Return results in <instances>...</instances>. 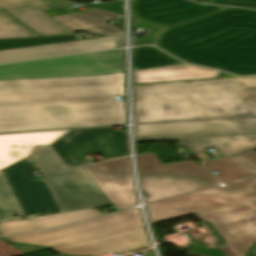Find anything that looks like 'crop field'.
I'll use <instances>...</instances> for the list:
<instances>
[{"instance_id":"obj_35","label":"crop field","mask_w":256,"mask_h":256,"mask_svg":"<svg viewBox=\"0 0 256 256\" xmlns=\"http://www.w3.org/2000/svg\"><path fill=\"white\" fill-rule=\"evenodd\" d=\"M1 11V10H0Z\"/></svg>"},{"instance_id":"obj_16","label":"crop field","mask_w":256,"mask_h":256,"mask_svg":"<svg viewBox=\"0 0 256 256\" xmlns=\"http://www.w3.org/2000/svg\"><path fill=\"white\" fill-rule=\"evenodd\" d=\"M148 246L150 245L144 228L141 227L49 251L67 255L100 256L108 251L120 253Z\"/></svg>"},{"instance_id":"obj_21","label":"crop field","mask_w":256,"mask_h":256,"mask_svg":"<svg viewBox=\"0 0 256 256\" xmlns=\"http://www.w3.org/2000/svg\"><path fill=\"white\" fill-rule=\"evenodd\" d=\"M210 171H217L218 178L227 182L256 174V153L251 152L231 158L210 161L204 164Z\"/></svg>"},{"instance_id":"obj_17","label":"crop field","mask_w":256,"mask_h":256,"mask_svg":"<svg viewBox=\"0 0 256 256\" xmlns=\"http://www.w3.org/2000/svg\"><path fill=\"white\" fill-rule=\"evenodd\" d=\"M68 131L0 135V170L48 147Z\"/></svg>"},{"instance_id":"obj_1","label":"crop field","mask_w":256,"mask_h":256,"mask_svg":"<svg viewBox=\"0 0 256 256\" xmlns=\"http://www.w3.org/2000/svg\"><path fill=\"white\" fill-rule=\"evenodd\" d=\"M124 72L0 81V133L123 124Z\"/></svg>"},{"instance_id":"obj_10","label":"crop field","mask_w":256,"mask_h":256,"mask_svg":"<svg viewBox=\"0 0 256 256\" xmlns=\"http://www.w3.org/2000/svg\"><path fill=\"white\" fill-rule=\"evenodd\" d=\"M42 177L61 213L112 204L83 167L51 172Z\"/></svg>"},{"instance_id":"obj_29","label":"crop field","mask_w":256,"mask_h":256,"mask_svg":"<svg viewBox=\"0 0 256 256\" xmlns=\"http://www.w3.org/2000/svg\"><path fill=\"white\" fill-rule=\"evenodd\" d=\"M32 156L40 172L66 167L50 146Z\"/></svg>"},{"instance_id":"obj_25","label":"crop field","mask_w":256,"mask_h":256,"mask_svg":"<svg viewBox=\"0 0 256 256\" xmlns=\"http://www.w3.org/2000/svg\"><path fill=\"white\" fill-rule=\"evenodd\" d=\"M84 39H89V38H84ZM75 40H83V39H77L75 35H67V36L34 37V38L0 40V50L42 45V44H49V43L75 41Z\"/></svg>"},{"instance_id":"obj_4","label":"crop field","mask_w":256,"mask_h":256,"mask_svg":"<svg viewBox=\"0 0 256 256\" xmlns=\"http://www.w3.org/2000/svg\"><path fill=\"white\" fill-rule=\"evenodd\" d=\"M146 203L216 184V179L195 162L163 165L157 156L137 155Z\"/></svg>"},{"instance_id":"obj_2","label":"crop field","mask_w":256,"mask_h":256,"mask_svg":"<svg viewBox=\"0 0 256 256\" xmlns=\"http://www.w3.org/2000/svg\"><path fill=\"white\" fill-rule=\"evenodd\" d=\"M153 45L192 64L256 75V11L230 8L162 28Z\"/></svg>"},{"instance_id":"obj_7","label":"crop field","mask_w":256,"mask_h":256,"mask_svg":"<svg viewBox=\"0 0 256 256\" xmlns=\"http://www.w3.org/2000/svg\"><path fill=\"white\" fill-rule=\"evenodd\" d=\"M256 199V177L148 205L152 224Z\"/></svg>"},{"instance_id":"obj_13","label":"crop field","mask_w":256,"mask_h":256,"mask_svg":"<svg viewBox=\"0 0 256 256\" xmlns=\"http://www.w3.org/2000/svg\"><path fill=\"white\" fill-rule=\"evenodd\" d=\"M230 7L201 6L187 0H131V18L164 28Z\"/></svg>"},{"instance_id":"obj_24","label":"crop field","mask_w":256,"mask_h":256,"mask_svg":"<svg viewBox=\"0 0 256 256\" xmlns=\"http://www.w3.org/2000/svg\"><path fill=\"white\" fill-rule=\"evenodd\" d=\"M22 212L2 171L0 172V222L21 219L13 218L12 213Z\"/></svg>"},{"instance_id":"obj_28","label":"crop field","mask_w":256,"mask_h":256,"mask_svg":"<svg viewBox=\"0 0 256 256\" xmlns=\"http://www.w3.org/2000/svg\"><path fill=\"white\" fill-rule=\"evenodd\" d=\"M30 4L43 9L62 8L76 3L66 0H0V8L6 10Z\"/></svg>"},{"instance_id":"obj_26","label":"crop field","mask_w":256,"mask_h":256,"mask_svg":"<svg viewBox=\"0 0 256 256\" xmlns=\"http://www.w3.org/2000/svg\"><path fill=\"white\" fill-rule=\"evenodd\" d=\"M100 214H102L100 211H98L96 209H90V210H83V211L35 218V220H36L39 228L43 229V228L62 225L65 223L93 217V216L100 215Z\"/></svg>"},{"instance_id":"obj_34","label":"crop field","mask_w":256,"mask_h":256,"mask_svg":"<svg viewBox=\"0 0 256 256\" xmlns=\"http://www.w3.org/2000/svg\"><path fill=\"white\" fill-rule=\"evenodd\" d=\"M249 256H256V248L252 251V253Z\"/></svg>"},{"instance_id":"obj_9","label":"crop field","mask_w":256,"mask_h":256,"mask_svg":"<svg viewBox=\"0 0 256 256\" xmlns=\"http://www.w3.org/2000/svg\"><path fill=\"white\" fill-rule=\"evenodd\" d=\"M197 216L211 223L227 242L218 248L226 256H244L256 241V200Z\"/></svg>"},{"instance_id":"obj_33","label":"crop field","mask_w":256,"mask_h":256,"mask_svg":"<svg viewBox=\"0 0 256 256\" xmlns=\"http://www.w3.org/2000/svg\"><path fill=\"white\" fill-rule=\"evenodd\" d=\"M84 14H87L89 16H92L94 18H97L99 20H102L104 22H108V21H112V20H115V19H118V18H122V16H119V15H116V14H113V13H109V12H106V11H103V10H99V9H92ZM105 17H109L108 19H104Z\"/></svg>"},{"instance_id":"obj_14","label":"crop field","mask_w":256,"mask_h":256,"mask_svg":"<svg viewBox=\"0 0 256 256\" xmlns=\"http://www.w3.org/2000/svg\"><path fill=\"white\" fill-rule=\"evenodd\" d=\"M84 168L118 210L136 204L129 157Z\"/></svg>"},{"instance_id":"obj_30","label":"crop field","mask_w":256,"mask_h":256,"mask_svg":"<svg viewBox=\"0 0 256 256\" xmlns=\"http://www.w3.org/2000/svg\"><path fill=\"white\" fill-rule=\"evenodd\" d=\"M37 230L32 219L19 220L0 224V235Z\"/></svg>"},{"instance_id":"obj_31","label":"crop field","mask_w":256,"mask_h":256,"mask_svg":"<svg viewBox=\"0 0 256 256\" xmlns=\"http://www.w3.org/2000/svg\"><path fill=\"white\" fill-rule=\"evenodd\" d=\"M131 26L133 28L143 27V28H146V29L153 30L145 39L134 37V41H135L136 46L152 44V42L154 41L157 34L159 33V31L162 28L160 26L152 25V24L141 22V21H138V20H136V25H133L132 24V19H131Z\"/></svg>"},{"instance_id":"obj_32","label":"crop field","mask_w":256,"mask_h":256,"mask_svg":"<svg viewBox=\"0 0 256 256\" xmlns=\"http://www.w3.org/2000/svg\"><path fill=\"white\" fill-rule=\"evenodd\" d=\"M210 3L241 6L256 9V0H211Z\"/></svg>"},{"instance_id":"obj_15","label":"crop field","mask_w":256,"mask_h":256,"mask_svg":"<svg viewBox=\"0 0 256 256\" xmlns=\"http://www.w3.org/2000/svg\"><path fill=\"white\" fill-rule=\"evenodd\" d=\"M119 39L120 35H110L83 41L0 51V63L118 48Z\"/></svg>"},{"instance_id":"obj_27","label":"crop field","mask_w":256,"mask_h":256,"mask_svg":"<svg viewBox=\"0 0 256 256\" xmlns=\"http://www.w3.org/2000/svg\"><path fill=\"white\" fill-rule=\"evenodd\" d=\"M37 36L5 12L0 13V39Z\"/></svg>"},{"instance_id":"obj_8","label":"crop field","mask_w":256,"mask_h":256,"mask_svg":"<svg viewBox=\"0 0 256 256\" xmlns=\"http://www.w3.org/2000/svg\"><path fill=\"white\" fill-rule=\"evenodd\" d=\"M50 146L67 167L85 164L89 154L99 153L104 160L128 155L125 131L112 127L71 130Z\"/></svg>"},{"instance_id":"obj_6","label":"crop field","mask_w":256,"mask_h":256,"mask_svg":"<svg viewBox=\"0 0 256 256\" xmlns=\"http://www.w3.org/2000/svg\"><path fill=\"white\" fill-rule=\"evenodd\" d=\"M140 226L143 224L139 218V209H133L59 229L7 236L3 239L10 244H21L16 247L29 254L41 250L22 246L23 244L37 245L49 250Z\"/></svg>"},{"instance_id":"obj_12","label":"crop field","mask_w":256,"mask_h":256,"mask_svg":"<svg viewBox=\"0 0 256 256\" xmlns=\"http://www.w3.org/2000/svg\"><path fill=\"white\" fill-rule=\"evenodd\" d=\"M35 168L37 167L32 157H29L3 170V173L27 217L59 214L44 180H32L28 170Z\"/></svg>"},{"instance_id":"obj_18","label":"crop field","mask_w":256,"mask_h":256,"mask_svg":"<svg viewBox=\"0 0 256 256\" xmlns=\"http://www.w3.org/2000/svg\"><path fill=\"white\" fill-rule=\"evenodd\" d=\"M180 141L195 155L206 152V149L212 147H215L223 155L249 151L256 148V134L195 138Z\"/></svg>"},{"instance_id":"obj_5","label":"crop field","mask_w":256,"mask_h":256,"mask_svg":"<svg viewBox=\"0 0 256 256\" xmlns=\"http://www.w3.org/2000/svg\"><path fill=\"white\" fill-rule=\"evenodd\" d=\"M124 71L123 50L0 66V80L104 75Z\"/></svg>"},{"instance_id":"obj_3","label":"crop field","mask_w":256,"mask_h":256,"mask_svg":"<svg viewBox=\"0 0 256 256\" xmlns=\"http://www.w3.org/2000/svg\"><path fill=\"white\" fill-rule=\"evenodd\" d=\"M136 123L256 115V77L134 86Z\"/></svg>"},{"instance_id":"obj_19","label":"crop field","mask_w":256,"mask_h":256,"mask_svg":"<svg viewBox=\"0 0 256 256\" xmlns=\"http://www.w3.org/2000/svg\"><path fill=\"white\" fill-rule=\"evenodd\" d=\"M219 71L193 67L188 64L133 71L135 83L161 82L218 77Z\"/></svg>"},{"instance_id":"obj_22","label":"crop field","mask_w":256,"mask_h":256,"mask_svg":"<svg viewBox=\"0 0 256 256\" xmlns=\"http://www.w3.org/2000/svg\"><path fill=\"white\" fill-rule=\"evenodd\" d=\"M183 64L152 46L133 49V70Z\"/></svg>"},{"instance_id":"obj_23","label":"crop field","mask_w":256,"mask_h":256,"mask_svg":"<svg viewBox=\"0 0 256 256\" xmlns=\"http://www.w3.org/2000/svg\"><path fill=\"white\" fill-rule=\"evenodd\" d=\"M57 21L72 31H86L95 35L111 34L119 32L111 26H107L96 20L79 13L54 17Z\"/></svg>"},{"instance_id":"obj_20","label":"crop field","mask_w":256,"mask_h":256,"mask_svg":"<svg viewBox=\"0 0 256 256\" xmlns=\"http://www.w3.org/2000/svg\"><path fill=\"white\" fill-rule=\"evenodd\" d=\"M7 12L41 36L75 34L52 19L40 8L27 5Z\"/></svg>"},{"instance_id":"obj_11","label":"crop field","mask_w":256,"mask_h":256,"mask_svg":"<svg viewBox=\"0 0 256 256\" xmlns=\"http://www.w3.org/2000/svg\"><path fill=\"white\" fill-rule=\"evenodd\" d=\"M136 141L256 133V117L135 126Z\"/></svg>"}]
</instances>
